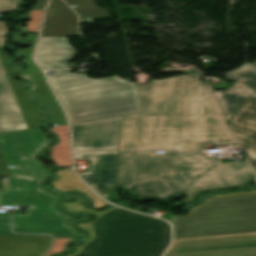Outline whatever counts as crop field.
I'll use <instances>...</instances> for the list:
<instances>
[{"label":"crop field","instance_id":"cbeb9de0","mask_svg":"<svg viewBox=\"0 0 256 256\" xmlns=\"http://www.w3.org/2000/svg\"><path fill=\"white\" fill-rule=\"evenodd\" d=\"M4 47H0V59L7 74L8 80L16 97L17 103L23 115L24 121L28 129L37 128V127H45L47 124L40 123L44 117L38 115L41 112V108L33 103L29 98L31 95L25 90L27 87L26 82L15 81L13 80L9 74H15V66H6L8 60H10L11 56L3 52Z\"/></svg>","mask_w":256,"mask_h":256},{"label":"crop field","instance_id":"3316defc","mask_svg":"<svg viewBox=\"0 0 256 256\" xmlns=\"http://www.w3.org/2000/svg\"><path fill=\"white\" fill-rule=\"evenodd\" d=\"M76 160H90L84 181L107 200V192L115 186L118 151L75 153Z\"/></svg>","mask_w":256,"mask_h":256},{"label":"crop field","instance_id":"bc2a9ffb","mask_svg":"<svg viewBox=\"0 0 256 256\" xmlns=\"http://www.w3.org/2000/svg\"><path fill=\"white\" fill-rule=\"evenodd\" d=\"M51 131L59 138V142L51 148L53 160L56 162L57 166L72 167L68 126L52 127Z\"/></svg>","mask_w":256,"mask_h":256},{"label":"crop field","instance_id":"4177f3b9","mask_svg":"<svg viewBox=\"0 0 256 256\" xmlns=\"http://www.w3.org/2000/svg\"><path fill=\"white\" fill-rule=\"evenodd\" d=\"M0 235H16L10 231V213H0ZM48 236V235H30Z\"/></svg>","mask_w":256,"mask_h":256},{"label":"crop field","instance_id":"5a996713","mask_svg":"<svg viewBox=\"0 0 256 256\" xmlns=\"http://www.w3.org/2000/svg\"><path fill=\"white\" fill-rule=\"evenodd\" d=\"M122 117L71 124L74 151L117 149Z\"/></svg>","mask_w":256,"mask_h":256},{"label":"crop field","instance_id":"4a817a6b","mask_svg":"<svg viewBox=\"0 0 256 256\" xmlns=\"http://www.w3.org/2000/svg\"><path fill=\"white\" fill-rule=\"evenodd\" d=\"M32 79L35 80L36 84V90L39 95V98L42 102H46L49 104L51 108V114H52V122L54 126L57 125H64L67 124L66 117L59 106V104L56 102V99L50 90L49 86L46 83V79L43 73L29 76Z\"/></svg>","mask_w":256,"mask_h":256},{"label":"crop field","instance_id":"f4fd0767","mask_svg":"<svg viewBox=\"0 0 256 256\" xmlns=\"http://www.w3.org/2000/svg\"><path fill=\"white\" fill-rule=\"evenodd\" d=\"M93 227L96 239L77 256H161L170 243L167 222L120 208Z\"/></svg>","mask_w":256,"mask_h":256},{"label":"crop field","instance_id":"ac0d7876","mask_svg":"<svg viewBox=\"0 0 256 256\" xmlns=\"http://www.w3.org/2000/svg\"><path fill=\"white\" fill-rule=\"evenodd\" d=\"M51 142L41 128L0 134V190L1 177L10 176V184L0 193V205L24 206L25 215H13L14 233H47L54 237L75 238L78 231L66 225L73 217L56 210L64 196H54L40 188L47 178L45 167L36 158Z\"/></svg>","mask_w":256,"mask_h":256},{"label":"crop field","instance_id":"22f410ed","mask_svg":"<svg viewBox=\"0 0 256 256\" xmlns=\"http://www.w3.org/2000/svg\"><path fill=\"white\" fill-rule=\"evenodd\" d=\"M75 52L66 37H41L36 61L45 70L66 68Z\"/></svg>","mask_w":256,"mask_h":256},{"label":"crop field","instance_id":"8a807250","mask_svg":"<svg viewBox=\"0 0 256 256\" xmlns=\"http://www.w3.org/2000/svg\"><path fill=\"white\" fill-rule=\"evenodd\" d=\"M200 75L137 86L143 114L123 117L121 149L203 152L206 144H236Z\"/></svg>","mask_w":256,"mask_h":256},{"label":"crop field","instance_id":"28ad6ade","mask_svg":"<svg viewBox=\"0 0 256 256\" xmlns=\"http://www.w3.org/2000/svg\"><path fill=\"white\" fill-rule=\"evenodd\" d=\"M225 77L237 81L227 91L214 93L224 118L230 119L249 98L256 100V68L246 66Z\"/></svg>","mask_w":256,"mask_h":256},{"label":"crop field","instance_id":"a9b5d70f","mask_svg":"<svg viewBox=\"0 0 256 256\" xmlns=\"http://www.w3.org/2000/svg\"><path fill=\"white\" fill-rule=\"evenodd\" d=\"M28 13L30 14L32 20L26 23L28 26L27 31L38 32L43 10H31L28 11Z\"/></svg>","mask_w":256,"mask_h":256},{"label":"crop field","instance_id":"00972430","mask_svg":"<svg viewBox=\"0 0 256 256\" xmlns=\"http://www.w3.org/2000/svg\"><path fill=\"white\" fill-rule=\"evenodd\" d=\"M22 3L21 0H0V11L17 9V4ZM7 33L5 23L0 22V46H3V36Z\"/></svg>","mask_w":256,"mask_h":256},{"label":"crop field","instance_id":"412701ff","mask_svg":"<svg viewBox=\"0 0 256 256\" xmlns=\"http://www.w3.org/2000/svg\"><path fill=\"white\" fill-rule=\"evenodd\" d=\"M68 71L73 70H58L48 77L71 123L142 113L135 82L117 76L88 79Z\"/></svg>","mask_w":256,"mask_h":256},{"label":"crop field","instance_id":"bd1437ed","mask_svg":"<svg viewBox=\"0 0 256 256\" xmlns=\"http://www.w3.org/2000/svg\"><path fill=\"white\" fill-rule=\"evenodd\" d=\"M68 4L78 3V2H87V1H94V0H65Z\"/></svg>","mask_w":256,"mask_h":256},{"label":"crop field","instance_id":"730fd06b","mask_svg":"<svg viewBox=\"0 0 256 256\" xmlns=\"http://www.w3.org/2000/svg\"><path fill=\"white\" fill-rule=\"evenodd\" d=\"M69 240L76 241V239L55 238L54 244L50 248L49 252L46 255H44V256H50V255H53L55 253H60V252H62L64 250H66L67 248L65 247V244Z\"/></svg>","mask_w":256,"mask_h":256},{"label":"crop field","instance_id":"eef30255","mask_svg":"<svg viewBox=\"0 0 256 256\" xmlns=\"http://www.w3.org/2000/svg\"><path fill=\"white\" fill-rule=\"evenodd\" d=\"M80 16H109L106 10H76Z\"/></svg>","mask_w":256,"mask_h":256},{"label":"crop field","instance_id":"214f88e0","mask_svg":"<svg viewBox=\"0 0 256 256\" xmlns=\"http://www.w3.org/2000/svg\"><path fill=\"white\" fill-rule=\"evenodd\" d=\"M61 178L53 183L60 190H79L85 192L94 202V207L98 208L105 203L100 200L85 184L75 175L74 171H58Z\"/></svg>","mask_w":256,"mask_h":256},{"label":"crop field","instance_id":"ae1a2a85","mask_svg":"<svg viewBox=\"0 0 256 256\" xmlns=\"http://www.w3.org/2000/svg\"><path fill=\"white\" fill-rule=\"evenodd\" d=\"M255 193H256V190H255V191H251V192H249V193H235V194H231V195H221V196H217V197L210 198V199H208L207 201H205L204 204L199 205V206H197V207H200V206L205 205V204L208 203L211 199H218V198L229 197V196H236V195H243V194H255ZM197 207H194V208L190 209L189 215L192 214L193 210H194L195 208H197ZM187 216H188V215H187Z\"/></svg>","mask_w":256,"mask_h":256},{"label":"crop field","instance_id":"92a150f3","mask_svg":"<svg viewBox=\"0 0 256 256\" xmlns=\"http://www.w3.org/2000/svg\"><path fill=\"white\" fill-rule=\"evenodd\" d=\"M80 202H82V200L75 201V202H71V203H67V204H65V206H66V208H67L71 213H72V212L82 211V210H87V209H85V208L82 206V204H81ZM115 208H116V207L110 209L108 212L112 211V210L115 209ZM90 211H93V210H90ZM93 212L98 216L97 219H98L100 216H102L103 214H105V213H98V212H95V211H93ZM108 212H107V213H108ZM97 219H96V220H97ZM96 220H95V221H96ZM93 222H94V221H93ZM93 222L87 223V224H79V227H81V228H82L83 230H85V231H88V232L91 234V237L86 238V239H83V240H85V244H84L83 246L79 247L76 253L71 254V255H69V256H74V255L80 253V251L82 250V248H83L84 246L88 245L92 240H94L95 234H94L93 227H92V223H93Z\"/></svg>","mask_w":256,"mask_h":256},{"label":"crop field","instance_id":"1d83c4d3","mask_svg":"<svg viewBox=\"0 0 256 256\" xmlns=\"http://www.w3.org/2000/svg\"><path fill=\"white\" fill-rule=\"evenodd\" d=\"M252 64L256 66V62H254V63H252Z\"/></svg>","mask_w":256,"mask_h":256},{"label":"crop field","instance_id":"dd49c442","mask_svg":"<svg viewBox=\"0 0 256 256\" xmlns=\"http://www.w3.org/2000/svg\"><path fill=\"white\" fill-rule=\"evenodd\" d=\"M169 220L174 239L256 233V195L212 200L188 217Z\"/></svg>","mask_w":256,"mask_h":256},{"label":"crop field","instance_id":"750c4746","mask_svg":"<svg viewBox=\"0 0 256 256\" xmlns=\"http://www.w3.org/2000/svg\"><path fill=\"white\" fill-rule=\"evenodd\" d=\"M48 0H38L37 4L33 8H44Z\"/></svg>","mask_w":256,"mask_h":256},{"label":"crop field","instance_id":"d8731c3e","mask_svg":"<svg viewBox=\"0 0 256 256\" xmlns=\"http://www.w3.org/2000/svg\"><path fill=\"white\" fill-rule=\"evenodd\" d=\"M254 178L256 176L248 161L218 163L182 191L187 198L178 205L184 202H196L194 195L198 192L238 186Z\"/></svg>","mask_w":256,"mask_h":256},{"label":"crop field","instance_id":"733c2abd","mask_svg":"<svg viewBox=\"0 0 256 256\" xmlns=\"http://www.w3.org/2000/svg\"><path fill=\"white\" fill-rule=\"evenodd\" d=\"M51 238L0 236V256H41L49 247Z\"/></svg>","mask_w":256,"mask_h":256},{"label":"crop field","instance_id":"d9b57169","mask_svg":"<svg viewBox=\"0 0 256 256\" xmlns=\"http://www.w3.org/2000/svg\"><path fill=\"white\" fill-rule=\"evenodd\" d=\"M27 129L0 62V133Z\"/></svg>","mask_w":256,"mask_h":256},{"label":"crop field","instance_id":"e52e79f7","mask_svg":"<svg viewBox=\"0 0 256 256\" xmlns=\"http://www.w3.org/2000/svg\"><path fill=\"white\" fill-rule=\"evenodd\" d=\"M165 256H256V234L175 240Z\"/></svg>","mask_w":256,"mask_h":256},{"label":"crop field","instance_id":"34b2d1b8","mask_svg":"<svg viewBox=\"0 0 256 256\" xmlns=\"http://www.w3.org/2000/svg\"><path fill=\"white\" fill-rule=\"evenodd\" d=\"M215 163L213 155L119 151L116 187L135 189L139 199L166 198L180 192Z\"/></svg>","mask_w":256,"mask_h":256},{"label":"crop field","instance_id":"5142ce71","mask_svg":"<svg viewBox=\"0 0 256 256\" xmlns=\"http://www.w3.org/2000/svg\"><path fill=\"white\" fill-rule=\"evenodd\" d=\"M77 17L62 0H51L41 36H75Z\"/></svg>","mask_w":256,"mask_h":256},{"label":"crop field","instance_id":"dafd665d","mask_svg":"<svg viewBox=\"0 0 256 256\" xmlns=\"http://www.w3.org/2000/svg\"><path fill=\"white\" fill-rule=\"evenodd\" d=\"M26 39H28L32 43V46L27 48V49H25V50L19 51L20 54L26 56V58L22 60V61H24L26 63V70L23 73H21V75L35 74V73L42 72L41 69L38 68L31 61L32 51H33V49L35 47V43H36L37 37L26 36Z\"/></svg>","mask_w":256,"mask_h":256},{"label":"crop field","instance_id":"d3111659","mask_svg":"<svg viewBox=\"0 0 256 256\" xmlns=\"http://www.w3.org/2000/svg\"><path fill=\"white\" fill-rule=\"evenodd\" d=\"M75 5L78 7V9H100L94 5V2L78 3Z\"/></svg>","mask_w":256,"mask_h":256},{"label":"crop field","instance_id":"d1516ede","mask_svg":"<svg viewBox=\"0 0 256 256\" xmlns=\"http://www.w3.org/2000/svg\"><path fill=\"white\" fill-rule=\"evenodd\" d=\"M227 125L256 170V101L249 99Z\"/></svg>","mask_w":256,"mask_h":256}]
</instances>
